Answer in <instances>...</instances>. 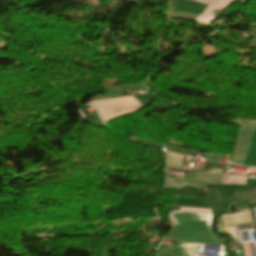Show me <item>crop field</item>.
Listing matches in <instances>:
<instances>
[{"label": "crop field", "instance_id": "9", "mask_svg": "<svg viewBox=\"0 0 256 256\" xmlns=\"http://www.w3.org/2000/svg\"><path fill=\"white\" fill-rule=\"evenodd\" d=\"M243 246H244L246 256H256L254 244H246ZM243 246L241 245V248H242L243 255L245 256Z\"/></svg>", "mask_w": 256, "mask_h": 256}, {"label": "crop field", "instance_id": "4", "mask_svg": "<svg viewBox=\"0 0 256 256\" xmlns=\"http://www.w3.org/2000/svg\"><path fill=\"white\" fill-rule=\"evenodd\" d=\"M167 168L179 169L184 158L183 155L165 152Z\"/></svg>", "mask_w": 256, "mask_h": 256}, {"label": "crop field", "instance_id": "5", "mask_svg": "<svg viewBox=\"0 0 256 256\" xmlns=\"http://www.w3.org/2000/svg\"><path fill=\"white\" fill-rule=\"evenodd\" d=\"M221 184H246V177L222 174Z\"/></svg>", "mask_w": 256, "mask_h": 256}, {"label": "crop field", "instance_id": "10", "mask_svg": "<svg viewBox=\"0 0 256 256\" xmlns=\"http://www.w3.org/2000/svg\"><path fill=\"white\" fill-rule=\"evenodd\" d=\"M181 211H193V212H205L211 213L210 210H203V209H188V208H181Z\"/></svg>", "mask_w": 256, "mask_h": 256}, {"label": "crop field", "instance_id": "3", "mask_svg": "<svg viewBox=\"0 0 256 256\" xmlns=\"http://www.w3.org/2000/svg\"><path fill=\"white\" fill-rule=\"evenodd\" d=\"M256 128V121H244L241 129L239 139L236 145L232 163L243 165L247 155L254 131Z\"/></svg>", "mask_w": 256, "mask_h": 256}, {"label": "crop field", "instance_id": "1", "mask_svg": "<svg viewBox=\"0 0 256 256\" xmlns=\"http://www.w3.org/2000/svg\"><path fill=\"white\" fill-rule=\"evenodd\" d=\"M169 220L175 223V228L163 238L176 239L180 246L160 247L158 251L185 249V243L212 245L226 243V239H220L213 233L211 214L171 211Z\"/></svg>", "mask_w": 256, "mask_h": 256}, {"label": "crop field", "instance_id": "7", "mask_svg": "<svg viewBox=\"0 0 256 256\" xmlns=\"http://www.w3.org/2000/svg\"><path fill=\"white\" fill-rule=\"evenodd\" d=\"M249 226H252V225L248 224V225H241L238 227L242 228V227H249ZM238 227L237 226H229V227H223V228L225 230H227L228 232H230L239 242H242L241 233H240V231H238ZM249 228H252V227H249ZM242 229H247V228H242Z\"/></svg>", "mask_w": 256, "mask_h": 256}, {"label": "crop field", "instance_id": "6", "mask_svg": "<svg viewBox=\"0 0 256 256\" xmlns=\"http://www.w3.org/2000/svg\"><path fill=\"white\" fill-rule=\"evenodd\" d=\"M246 213H249L248 208H247V209H244V210H242L241 212H238V213H236V214H234V215L246 214ZM247 222H251L250 217H247V218H240V219H233V220H226V221H223V226H225V225H231V224L247 223Z\"/></svg>", "mask_w": 256, "mask_h": 256}, {"label": "crop field", "instance_id": "8", "mask_svg": "<svg viewBox=\"0 0 256 256\" xmlns=\"http://www.w3.org/2000/svg\"><path fill=\"white\" fill-rule=\"evenodd\" d=\"M155 256H186L185 250L157 252Z\"/></svg>", "mask_w": 256, "mask_h": 256}, {"label": "crop field", "instance_id": "2", "mask_svg": "<svg viewBox=\"0 0 256 256\" xmlns=\"http://www.w3.org/2000/svg\"><path fill=\"white\" fill-rule=\"evenodd\" d=\"M221 172L222 169H212L208 171L190 172L189 177H185V179L167 178L165 188L198 184H220Z\"/></svg>", "mask_w": 256, "mask_h": 256}]
</instances>
